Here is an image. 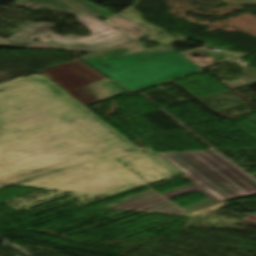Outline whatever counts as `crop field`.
<instances>
[{
  "instance_id": "obj_9",
  "label": "crop field",
  "mask_w": 256,
  "mask_h": 256,
  "mask_svg": "<svg viewBox=\"0 0 256 256\" xmlns=\"http://www.w3.org/2000/svg\"><path fill=\"white\" fill-rule=\"evenodd\" d=\"M109 23L116 26L117 28L121 29L125 33L129 34L133 38H138L142 34L149 31V29L142 27L140 25H137L133 22H130L128 20H125L123 18H120L116 16L113 20H111Z\"/></svg>"
},
{
  "instance_id": "obj_1",
  "label": "crop field",
  "mask_w": 256,
  "mask_h": 256,
  "mask_svg": "<svg viewBox=\"0 0 256 256\" xmlns=\"http://www.w3.org/2000/svg\"><path fill=\"white\" fill-rule=\"evenodd\" d=\"M181 172L192 184L165 193L151 189L135 194L108 208L136 210L184 216L226 200L256 195V180L215 151L159 154ZM201 191L212 199L180 208L169 199Z\"/></svg>"
},
{
  "instance_id": "obj_8",
  "label": "crop field",
  "mask_w": 256,
  "mask_h": 256,
  "mask_svg": "<svg viewBox=\"0 0 256 256\" xmlns=\"http://www.w3.org/2000/svg\"><path fill=\"white\" fill-rule=\"evenodd\" d=\"M86 86L105 98L127 92L125 89L121 88L109 79L89 84Z\"/></svg>"
},
{
  "instance_id": "obj_5",
  "label": "crop field",
  "mask_w": 256,
  "mask_h": 256,
  "mask_svg": "<svg viewBox=\"0 0 256 256\" xmlns=\"http://www.w3.org/2000/svg\"><path fill=\"white\" fill-rule=\"evenodd\" d=\"M79 23L86 26L93 35L88 38L74 37L69 35L67 37H60L48 31L54 25L40 22L39 24H26L15 31L17 34L6 41L3 45L11 48H24L37 37L46 42L53 40L57 43L67 44L64 50L75 51H97L114 45L131 40L126 35L118 30L102 23L101 21L84 16H78ZM47 36L52 38L48 39Z\"/></svg>"
},
{
  "instance_id": "obj_6",
  "label": "crop field",
  "mask_w": 256,
  "mask_h": 256,
  "mask_svg": "<svg viewBox=\"0 0 256 256\" xmlns=\"http://www.w3.org/2000/svg\"><path fill=\"white\" fill-rule=\"evenodd\" d=\"M15 5L19 7H30L32 5H35L37 7L43 6L45 8L56 10L59 12L90 16L63 0H19L16 2Z\"/></svg>"
},
{
  "instance_id": "obj_3",
  "label": "crop field",
  "mask_w": 256,
  "mask_h": 256,
  "mask_svg": "<svg viewBox=\"0 0 256 256\" xmlns=\"http://www.w3.org/2000/svg\"><path fill=\"white\" fill-rule=\"evenodd\" d=\"M81 60L131 92L200 70L171 49L136 41Z\"/></svg>"
},
{
  "instance_id": "obj_4",
  "label": "crop field",
  "mask_w": 256,
  "mask_h": 256,
  "mask_svg": "<svg viewBox=\"0 0 256 256\" xmlns=\"http://www.w3.org/2000/svg\"><path fill=\"white\" fill-rule=\"evenodd\" d=\"M134 153L138 152L0 147V184L14 185L104 158L140 187L146 183L116 160Z\"/></svg>"
},
{
  "instance_id": "obj_10",
  "label": "crop field",
  "mask_w": 256,
  "mask_h": 256,
  "mask_svg": "<svg viewBox=\"0 0 256 256\" xmlns=\"http://www.w3.org/2000/svg\"><path fill=\"white\" fill-rule=\"evenodd\" d=\"M69 3L79 7L80 9L96 16V17H103L109 19L111 16L115 15L99 6L90 4L84 0H66Z\"/></svg>"
},
{
  "instance_id": "obj_7",
  "label": "crop field",
  "mask_w": 256,
  "mask_h": 256,
  "mask_svg": "<svg viewBox=\"0 0 256 256\" xmlns=\"http://www.w3.org/2000/svg\"><path fill=\"white\" fill-rule=\"evenodd\" d=\"M183 55L202 69L217 64L216 60L219 58H222L221 56L215 53L208 52L201 49H198Z\"/></svg>"
},
{
  "instance_id": "obj_11",
  "label": "crop field",
  "mask_w": 256,
  "mask_h": 256,
  "mask_svg": "<svg viewBox=\"0 0 256 256\" xmlns=\"http://www.w3.org/2000/svg\"><path fill=\"white\" fill-rule=\"evenodd\" d=\"M222 206H225L224 203H218V204L215 205V206H212V207H209V208H205V209H202V210H199V211H196V212L187 214V215H185V216L191 217L192 215H198V214H201V213H204V212H207V211H210V210H213V209L222 207Z\"/></svg>"
},
{
  "instance_id": "obj_2",
  "label": "crop field",
  "mask_w": 256,
  "mask_h": 256,
  "mask_svg": "<svg viewBox=\"0 0 256 256\" xmlns=\"http://www.w3.org/2000/svg\"><path fill=\"white\" fill-rule=\"evenodd\" d=\"M152 156L161 160L160 162H163V164L152 158ZM152 156L145 153H138L119 158V160L129 169L133 170L132 172L148 185L183 175L157 154H152ZM163 165H166L167 167ZM167 168L176 172L178 175H175ZM15 186L36 187L108 196H114L138 188L104 159Z\"/></svg>"
},
{
  "instance_id": "obj_12",
  "label": "crop field",
  "mask_w": 256,
  "mask_h": 256,
  "mask_svg": "<svg viewBox=\"0 0 256 256\" xmlns=\"http://www.w3.org/2000/svg\"><path fill=\"white\" fill-rule=\"evenodd\" d=\"M240 224L256 226V216H254V215L248 216L245 219H243Z\"/></svg>"
}]
</instances>
